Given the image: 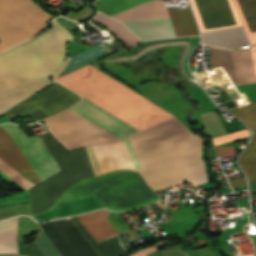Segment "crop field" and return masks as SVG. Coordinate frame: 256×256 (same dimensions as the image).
Returning a JSON list of instances; mask_svg holds the SVG:
<instances>
[{
	"instance_id": "dafd665d",
	"label": "crop field",
	"mask_w": 256,
	"mask_h": 256,
	"mask_svg": "<svg viewBox=\"0 0 256 256\" xmlns=\"http://www.w3.org/2000/svg\"><path fill=\"white\" fill-rule=\"evenodd\" d=\"M18 217L0 222V253L18 254L15 241Z\"/></svg>"
},
{
	"instance_id": "ae1a2a85",
	"label": "crop field",
	"mask_w": 256,
	"mask_h": 256,
	"mask_svg": "<svg viewBox=\"0 0 256 256\" xmlns=\"http://www.w3.org/2000/svg\"><path fill=\"white\" fill-rule=\"evenodd\" d=\"M168 243H169V241L160 242V243L155 244V245H153L151 247L145 248V249H143V250H141V251H139V252H137V253H135V254H133L131 256H147L146 254L154 252L159 247H161V246H163L165 244H168Z\"/></svg>"
},
{
	"instance_id": "f4fd0767",
	"label": "crop field",
	"mask_w": 256,
	"mask_h": 256,
	"mask_svg": "<svg viewBox=\"0 0 256 256\" xmlns=\"http://www.w3.org/2000/svg\"><path fill=\"white\" fill-rule=\"evenodd\" d=\"M16 141L22 153L40 175L42 180L50 177L60 170L39 137H27L17 126L10 124L0 125ZM0 127V159L26 177L35 185L41 182V178L21 153L11 136ZM3 161L0 160V170L12 178L15 182L28 190L35 186Z\"/></svg>"
},
{
	"instance_id": "4177f3b9",
	"label": "crop field",
	"mask_w": 256,
	"mask_h": 256,
	"mask_svg": "<svg viewBox=\"0 0 256 256\" xmlns=\"http://www.w3.org/2000/svg\"><path fill=\"white\" fill-rule=\"evenodd\" d=\"M16 215H30L29 203L0 207V220Z\"/></svg>"
},
{
	"instance_id": "120bbe31",
	"label": "crop field",
	"mask_w": 256,
	"mask_h": 256,
	"mask_svg": "<svg viewBox=\"0 0 256 256\" xmlns=\"http://www.w3.org/2000/svg\"><path fill=\"white\" fill-rule=\"evenodd\" d=\"M250 184V188L252 192H256V182H251Z\"/></svg>"
},
{
	"instance_id": "ac0d7876",
	"label": "crop field",
	"mask_w": 256,
	"mask_h": 256,
	"mask_svg": "<svg viewBox=\"0 0 256 256\" xmlns=\"http://www.w3.org/2000/svg\"><path fill=\"white\" fill-rule=\"evenodd\" d=\"M45 121L68 147L122 141L70 109ZM53 135L42 140L61 170L31 189L32 214L49 208L72 184L95 176L84 147L68 148Z\"/></svg>"
},
{
	"instance_id": "412701ff",
	"label": "crop field",
	"mask_w": 256,
	"mask_h": 256,
	"mask_svg": "<svg viewBox=\"0 0 256 256\" xmlns=\"http://www.w3.org/2000/svg\"><path fill=\"white\" fill-rule=\"evenodd\" d=\"M56 81L139 131L173 117L90 64Z\"/></svg>"
},
{
	"instance_id": "d3111659",
	"label": "crop field",
	"mask_w": 256,
	"mask_h": 256,
	"mask_svg": "<svg viewBox=\"0 0 256 256\" xmlns=\"http://www.w3.org/2000/svg\"><path fill=\"white\" fill-rule=\"evenodd\" d=\"M216 149L219 157L236 155L234 146L220 147Z\"/></svg>"
},
{
	"instance_id": "e52e79f7",
	"label": "crop field",
	"mask_w": 256,
	"mask_h": 256,
	"mask_svg": "<svg viewBox=\"0 0 256 256\" xmlns=\"http://www.w3.org/2000/svg\"><path fill=\"white\" fill-rule=\"evenodd\" d=\"M75 198L96 194L111 211H127L155 203L156 195L139 174L121 170L81 181L69 188Z\"/></svg>"
},
{
	"instance_id": "4a817a6b",
	"label": "crop field",
	"mask_w": 256,
	"mask_h": 256,
	"mask_svg": "<svg viewBox=\"0 0 256 256\" xmlns=\"http://www.w3.org/2000/svg\"><path fill=\"white\" fill-rule=\"evenodd\" d=\"M231 52L239 85L256 83V73L249 48L236 51L231 50Z\"/></svg>"
},
{
	"instance_id": "5a996713",
	"label": "crop field",
	"mask_w": 256,
	"mask_h": 256,
	"mask_svg": "<svg viewBox=\"0 0 256 256\" xmlns=\"http://www.w3.org/2000/svg\"><path fill=\"white\" fill-rule=\"evenodd\" d=\"M30 0H0V44L10 49L45 30L52 19ZM0 45V53L6 51Z\"/></svg>"
},
{
	"instance_id": "d8731c3e",
	"label": "crop field",
	"mask_w": 256,
	"mask_h": 256,
	"mask_svg": "<svg viewBox=\"0 0 256 256\" xmlns=\"http://www.w3.org/2000/svg\"><path fill=\"white\" fill-rule=\"evenodd\" d=\"M42 228L35 240L26 245L17 239L19 254L29 256H98L71 219L39 224Z\"/></svg>"
},
{
	"instance_id": "733c2abd",
	"label": "crop field",
	"mask_w": 256,
	"mask_h": 256,
	"mask_svg": "<svg viewBox=\"0 0 256 256\" xmlns=\"http://www.w3.org/2000/svg\"><path fill=\"white\" fill-rule=\"evenodd\" d=\"M110 53L112 52L103 43H100L75 55H72L67 58L66 64L56 74L55 79L88 63L100 59Z\"/></svg>"
},
{
	"instance_id": "d1516ede",
	"label": "crop field",
	"mask_w": 256,
	"mask_h": 256,
	"mask_svg": "<svg viewBox=\"0 0 256 256\" xmlns=\"http://www.w3.org/2000/svg\"><path fill=\"white\" fill-rule=\"evenodd\" d=\"M232 113L246 123L251 130H256V103L240 107ZM240 166L246 173L249 181L256 180V131L253 132V140L243 151L239 158Z\"/></svg>"
},
{
	"instance_id": "214f88e0",
	"label": "crop field",
	"mask_w": 256,
	"mask_h": 256,
	"mask_svg": "<svg viewBox=\"0 0 256 256\" xmlns=\"http://www.w3.org/2000/svg\"><path fill=\"white\" fill-rule=\"evenodd\" d=\"M177 37L199 35L190 9H168Z\"/></svg>"
},
{
	"instance_id": "1d83c4d3",
	"label": "crop field",
	"mask_w": 256,
	"mask_h": 256,
	"mask_svg": "<svg viewBox=\"0 0 256 256\" xmlns=\"http://www.w3.org/2000/svg\"><path fill=\"white\" fill-rule=\"evenodd\" d=\"M250 50H251V54H252V58H253L255 71H256V46L250 48Z\"/></svg>"
},
{
	"instance_id": "a9b5d70f",
	"label": "crop field",
	"mask_w": 256,
	"mask_h": 256,
	"mask_svg": "<svg viewBox=\"0 0 256 256\" xmlns=\"http://www.w3.org/2000/svg\"><path fill=\"white\" fill-rule=\"evenodd\" d=\"M147 1L150 0H98L94 3V6L99 11L111 16Z\"/></svg>"
},
{
	"instance_id": "8a807250",
	"label": "crop field",
	"mask_w": 256,
	"mask_h": 256,
	"mask_svg": "<svg viewBox=\"0 0 256 256\" xmlns=\"http://www.w3.org/2000/svg\"><path fill=\"white\" fill-rule=\"evenodd\" d=\"M130 139L142 168L138 173L155 192L188 181L194 187L207 182L202 139L175 117Z\"/></svg>"
},
{
	"instance_id": "eef30255",
	"label": "crop field",
	"mask_w": 256,
	"mask_h": 256,
	"mask_svg": "<svg viewBox=\"0 0 256 256\" xmlns=\"http://www.w3.org/2000/svg\"><path fill=\"white\" fill-rule=\"evenodd\" d=\"M185 256H214L216 253L208 246L201 249L183 251Z\"/></svg>"
},
{
	"instance_id": "22f410ed",
	"label": "crop field",
	"mask_w": 256,
	"mask_h": 256,
	"mask_svg": "<svg viewBox=\"0 0 256 256\" xmlns=\"http://www.w3.org/2000/svg\"><path fill=\"white\" fill-rule=\"evenodd\" d=\"M106 208L95 195L83 197L78 200L54 204L41 214L32 215L36 221H43L57 217L78 215L87 211ZM107 209V208H106Z\"/></svg>"
},
{
	"instance_id": "28ad6ade",
	"label": "crop field",
	"mask_w": 256,
	"mask_h": 256,
	"mask_svg": "<svg viewBox=\"0 0 256 256\" xmlns=\"http://www.w3.org/2000/svg\"><path fill=\"white\" fill-rule=\"evenodd\" d=\"M79 99L57 84H52L44 91L7 115L10 119L26 116L39 109L48 117L69 108Z\"/></svg>"
},
{
	"instance_id": "00972430",
	"label": "crop field",
	"mask_w": 256,
	"mask_h": 256,
	"mask_svg": "<svg viewBox=\"0 0 256 256\" xmlns=\"http://www.w3.org/2000/svg\"><path fill=\"white\" fill-rule=\"evenodd\" d=\"M210 59L213 68L222 66L233 85H238L230 50L211 47Z\"/></svg>"
},
{
	"instance_id": "92a150f3",
	"label": "crop field",
	"mask_w": 256,
	"mask_h": 256,
	"mask_svg": "<svg viewBox=\"0 0 256 256\" xmlns=\"http://www.w3.org/2000/svg\"><path fill=\"white\" fill-rule=\"evenodd\" d=\"M242 0H234V2ZM243 21L251 45L256 43V0L235 3Z\"/></svg>"
},
{
	"instance_id": "bd1437ed",
	"label": "crop field",
	"mask_w": 256,
	"mask_h": 256,
	"mask_svg": "<svg viewBox=\"0 0 256 256\" xmlns=\"http://www.w3.org/2000/svg\"><path fill=\"white\" fill-rule=\"evenodd\" d=\"M30 117L33 119L34 122L47 118V116H45L43 113H41L40 111L30 115Z\"/></svg>"
},
{
	"instance_id": "bc2a9ffb",
	"label": "crop field",
	"mask_w": 256,
	"mask_h": 256,
	"mask_svg": "<svg viewBox=\"0 0 256 256\" xmlns=\"http://www.w3.org/2000/svg\"><path fill=\"white\" fill-rule=\"evenodd\" d=\"M92 20L107 28L113 35H115L123 44L129 48L142 42L122 23H119L101 13H98V15Z\"/></svg>"
},
{
	"instance_id": "34b2d1b8",
	"label": "crop field",
	"mask_w": 256,
	"mask_h": 256,
	"mask_svg": "<svg viewBox=\"0 0 256 256\" xmlns=\"http://www.w3.org/2000/svg\"><path fill=\"white\" fill-rule=\"evenodd\" d=\"M38 38L0 55V66L31 94L47 84L42 79L63 64L70 34L53 21ZM0 67V114L30 95Z\"/></svg>"
},
{
	"instance_id": "750c4746",
	"label": "crop field",
	"mask_w": 256,
	"mask_h": 256,
	"mask_svg": "<svg viewBox=\"0 0 256 256\" xmlns=\"http://www.w3.org/2000/svg\"><path fill=\"white\" fill-rule=\"evenodd\" d=\"M229 182H230L232 188L247 185V182H246V178H245V177L236 178V179H230Z\"/></svg>"
},
{
	"instance_id": "730fd06b",
	"label": "crop field",
	"mask_w": 256,
	"mask_h": 256,
	"mask_svg": "<svg viewBox=\"0 0 256 256\" xmlns=\"http://www.w3.org/2000/svg\"><path fill=\"white\" fill-rule=\"evenodd\" d=\"M249 135H250L249 131L247 129H245V130L237 131V132H234V133H231L228 135L213 138L212 140H213L214 145L216 146V145L223 144V143H226L229 141H233V140H236V139H239L242 137H246Z\"/></svg>"
},
{
	"instance_id": "d9b57169",
	"label": "crop field",
	"mask_w": 256,
	"mask_h": 256,
	"mask_svg": "<svg viewBox=\"0 0 256 256\" xmlns=\"http://www.w3.org/2000/svg\"><path fill=\"white\" fill-rule=\"evenodd\" d=\"M120 21L169 17L164 0H153L111 16Z\"/></svg>"
},
{
	"instance_id": "3316defc",
	"label": "crop field",
	"mask_w": 256,
	"mask_h": 256,
	"mask_svg": "<svg viewBox=\"0 0 256 256\" xmlns=\"http://www.w3.org/2000/svg\"><path fill=\"white\" fill-rule=\"evenodd\" d=\"M201 32L240 26L232 0H190Z\"/></svg>"
},
{
	"instance_id": "5142ce71",
	"label": "crop field",
	"mask_w": 256,
	"mask_h": 256,
	"mask_svg": "<svg viewBox=\"0 0 256 256\" xmlns=\"http://www.w3.org/2000/svg\"><path fill=\"white\" fill-rule=\"evenodd\" d=\"M125 23L143 39L175 37L168 18Z\"/></svg>"
},
{
	"instance_id": "cbeb9de0",
	"label": "crop field",
	"mask_w": 256,
	"mask_h": 256,
	"mask_svg": "<svg viewBox=\"0 0 256 256\" xmlns=\"http://www.w3.org/2000/svg\"><path fill=\"white\" fill-rule=\"evenodd\" d=\"M111 215L105 210H99L88 214L77 216L97 243L118 235L116 230L105 218ZM105 237V238H104Z\"/></svg>"
},
{
	"instance_id": "dd49c442",
	"label": "crop field",
	"mask_w": 256,
	"mask_h": 256,
	"mask_svg": "<svg viewBox=\"0 0 256 256\" xmlns=\"http://www.w3.org/2000/svg\"><path fill=\"white\" fill-rule=\"evenodd\" d=\"M70 109L124 140L135 170H140L138 160L128 136L138 132L113 115L83 98ZM124 142L85 147L95 175L119 169H132L131 159Z\"/></svg>"
}]
</instances>
